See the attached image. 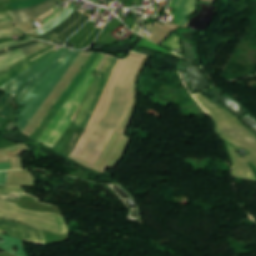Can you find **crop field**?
<instances>
[{
  "label": "crop field",
  "mask_w": 256,
  "mask_h": 256,
  "mask_svg": "<svg viewBox=\"0 0 256 256\" xmlns=\"http://www.w3.org/2000/svg\"><path fill=\"white\" fill-rule=\"evenodd\" d=\"M14 246H16L18 249V251L14 255L27 256L23 247V243L17 239L6 237L4 243L0 244V248L4 249L5 251L11 254H13L14 252L13 250Z\"/></svg>",
  "instance_id": "crop-field-12"
},
{
  "label": "crop field",
  "mask_w": 256,
  "mask_h": 256,
  "mask_svg": "<svg viewBox=\"0 0 256 256\" xmlns=\"http://www.w3.org/2000/svg\"><path fill=\"white\" fill-rule=\"evenodd\" d=\"M47 45H49V43L40 42L31 46L21 48L19 50L22 51L25 56H28ZM19 50L0 57V71L25 58L24 54Z\"/></svg>",
  "instance_id": "crop-field-9"
},
{
  "label": "crop field",
  "mask_w": 256,
  "mask_h": 256,
  "mask_svg": "<svg viewBox=\"0 0 256 256\" xmlns=\"http://www.w3.org/2000/svg\"><path fill=\"white\" fill-rule=\"evenodd\" d=\"M2 231L8 232L10 236L20 240L44 242L40 229L0 219V234L3 235Z\"/></svg>",
  "instance_id": "crop-field-7"
},
{
  "label": "crop field",
  "mask_w": 256,
  "mask_h": 256,
  "mask_svg": "<svg viewBox=\"0 0 256 256\" xmlns=\"http://www.w3.org/2000/svg\"><path fill=\"white\" fill-rule=\"evenodd\" d=\"M117 59L109 57L108 61L106 62L105 66L103 67L102 71L107 72L104 80L96 79L94 85L92 86L91 90L89 91L81 110L75 120L77 126L86 128L90 117L96 107V104L101 96V93L117 63ZM87 109L91 110L90 113H87Z\"/></svg>",
  "instance_id": "crop-field-5"
},
{
  "label": "crop field",
  "mask_w": 256,
  "mask_h": 256,
  "mask_svg": "<svg viewBox=\"0 0 256 256\" xmlns=\"http://www.w3.org/2000/svg\"><path fill=\"white\" fill-rule=\"evenodd\" d=\"M53 47H55V45L51 44L45 48H43L42 50L34 53L33 55L21 60L20 62L10 66L9 68L3 70L0 72V77L5 75L6 73L18 68L19 66L31 61L32 59L40 56L41 54L45 53L46 51L52 49ZM55 51L51 50L43 55H41L40 57L32 60L31 62L19 67L18 69L6 74L5 76L0 78V86H2L3 84H5L6 82L10 81L11 79H13L14 77L18 76L19 74H21L22 72L26 71L27 69L31 68L32 66H34L35 64L39 63L40 61H42L43 59H45L46 57L50 56L51 54H53Z\"/></svg>",
  "instance_id": "crop-field-6"
},
{
  "label": "crop field",
  "mask_w": 256,
  "mask_h": 256,
  "mask_svg": "<svg viewBox=\"0 0 256 256\" xmlns=\"http://www.w3.org/2000/svg\"><path fill=\"white\" fill-rule=\"evenodd\" d=\"M75 9L68 7L62 14H60L57 18H55L52 22L45 25L44 27L36 30V33L38 35H43L46 32H48L50 29L60 25L62 22H64L74 11Z\"/></svg>",
  "instance_id": "crop-field-11"
},
{
  "label": "crop field",
  "mask_w": 256,
  "mask_h": 256,
  "mask_svg": "<svg viewBox=\"0 0 256 256\" xmlns=\"http://www.w3.org/2000/svg\"><path fill=\"white\" fill-rule=\"evenodd\" d=\"M88 17L82 16L77 22H75L71 27H69L63 34L59 35L57 38L66 41L74 32H76L86 21Z\"/></svg>",
  "instance_id": "crop-field-13"
},
{
  "label": "crop field",
  "mask_w": 256,
  "mask_h": 256,
  "mask_svg": "<svg viewBox=\"0 0 256 256\" xmlns=\"http://www.w3.org/2000/svg\"><path fill=\"white\" fill-rule=\"evenodd\" d=\"M58 1L56 0H47L46 2L39 4L37 6L24 9V10H17L11 11L12 16H16L19 20V23H26L39 15L49 11L52 7H54Z\"/></svg>",
  "instance_id": "crop-field-8"
},
{
  "label": "crop field",
  "mask_w": 256,
  "mask_h": 256,
  "mask_svg": "<svg viewBox=\"0 0 256 256\" xmlns=\"http://www.w3.org/2000/svg\"><path fill=\"white\" fill-rule=\"evenodd\" d=\"M162 46L174 51L177 47H180V39L176 35H172L168 40H166Z\"/></svg>",
  "instance_id": "crop-field-17"
},
{
  "label": "crop field",
  "mask_w": 256,
  "mask_h": 256,
  "mask_svg": "<svg viewBox=\"0 0 256 256\" xmlns=\"http://www.w3.org/2000/svg\"><path fill=\"white\" fill-rule=\"evenodd\" d=\"M20 187L13 186H0V193H8V192H21Z\"/></svg>",
  "instance_id": "crop-field-19"
},
{
  "label": "crop field",
  "mask_w": 256,
  "mask_h": 256,
  "mask_svg": "<svg viewBox=\"0 0 256 256\" xmlns=\"http://www.w3.org/2000/svg\"><path fill=\"white\" fill-rule=\"evenodd\" d=\"M198 0H173L170 7L178 9L174 15V19L179 20V25L186 24V18L196 11V3Z\"/></svg>",
  "instance_id": "crop-field-10"
},
{
  "label": "crop field",
  "mask_w": 256,
  "mask_h": 256,
  "mask_svg": "<svg viewBox=\"0 0 256 256\" xmlns=\"http://www.w3.org/2000/svg\"><path fill=\"white\" fill-rule=\"evenodd\" d=\"M0 237L5 238V237H3V236H0Z\"/></svg>",
  "instance_id": "crop-field-26"
},
{
  "label": "crop field",
  "mask_w": 256,
  "mask_h": 256,
  "mask_svg": "<svg viewBox=\"0 0 256 256\" xmlns=\"http://www.w3.org/2000/svg\"><path fill=\"white\" fill-rule=\"evenodd\" d=\"M36 42H37V41H33V42H30V43H26V44H22V45H18V46H13V47L6 48V49L0 51V56L3 55V54H5V53L14 51V50H16V49H19V48H21V47H24V46H27V45H30V44H33V43H36Z\"/></svg>",
  "instance_id": "crop-field-20"
},
{
  "label": "crop field",
  "mask_w": 256,
  "mask_h": 256,
  "mask_svg": "<svg viewBox=\"0 0 256 256\" xmlns=\"http://www.w3.org/2000/svg\"><path fill=\"white\" fill-rule=\"evenodd\" d=\"M7 172H0V185H5Z\"/></svg>",
  "instance_id": "crop-field-23"
},
{
  "label": "crop field",
  "mask_w": 256,
  "mask_h": 256,
  "mask_svg": "<svg viewBox=\"0 0 256 256\" xmlns=\"http://www.w3.org/2000/svg\"><path fill=\"white\" fill-rule=\"evenodd\" d=\"M22 33H24V32L20 29L2 30V31H0V37L12 36V35H17V34H22Z\"/></svg>",
  "instance_id": "crop-field-18"
},
{
  "label": "crop field",
  "mask_w": 256,
  "mask_h": 256,
  "mask_svg": "<svg viewBox=\"0 0 256 256\" xmlns=\"http://www.w3.org/2000/svg\"><path fill=\"white\" fill-rule=\"evenodd\" d=\"M6 121V118L0 116V126L3 125Z\"/></svg>",
  "instance_id": "crop-field-25"
},
{
  "label": "crop field",
  "mask_w": 256,
  "mask_h": 256,
  "mask_svg": "<svg viewBox=\"0 0 256 256\" xmlns=\"http://www.w3.org/2000/svg\"><path fill=\"white\" fill-rule=\"evenodd\" d=\"M137 46H139V47H144V48H148V49H151V50H154V51H158V52H161V53H164V54H167V55H171V56L178 57V56H176V55H174V54L168 52L167 50H165V49H163V48H161V47H159V46H157V45H155V44L149 42L148 40H146V39H144V38H143V40H141V41L139 42V44H138ZM179 58H180V57H179Z\"/></svg>",
  "instance_id": "crop-field-16"
},
{
  "label": "crop field",
  "mask_w": 256,
  "mask_h": 256,
  "mask_svg": "<svg viewBox=\"0 0 256 256\" xmlns=\"http://www.w3.org/2000/svg\"><path fill=\"white\" fill-rule=\"evenodd\" d=\"M81 13L75 11L64 23H62L59 27L53 29L52 31L48 32L47 35L52 36L53 33L56 32V35L64 31L68 28L76 19H78Z\"/></svg>",
  "instance_id": "crop-field-14"
},
{
  "label": "crop field",
  "mask_w": 256,
  "mask_h": 256,
  "mask_svg": "<svg viewBox=\"0 0 256 256\" xmlns=\"http://www.w3.org/2000/svg\"><path fill=\"white\" fill-rule=\"evenodd\" d=\"M79 54V51L72 50L39 75L21 92L17 100L26 105L22 111L23 118L19 124L21 132Z\"/></svg>",
  "instance_id": "crop-field-2"
},
{
  "label": "crop field",
  "mask_w": 256,
  "mask_h": 256,
  "mask_svg": "<svg viewBox=\"0 0 256 256\" xmlns=\"http://www.w3.org/2000/svg\"><path fill=\"white\" fill-rule=\"evenodd\" d=\"M34 39H28V40H22V41H16V42H11V43H3V44H0V49H3L7 46H11V45H16V44H21V43H26V42H29V41H32Z\"/></svg>",
  "instance_id": "crop-field-22"
},
{
  "label": "crop field",
  "mask_w": 256,
  "mask_h": 256,
  "mask_svg": "<svg viewBox=\"0 0 256 256\" xmlns=\"http://www.w3.org/2000/svg\"><path fill=\"white\" fill-rule=\"evenodd\" d=\"M106 57L107 56H105V58H104V55L101 54V56L98 58V60L92 66V68L89 70V72L86 74V76L83 78V80L77 86V88L74 90V92L68 98V100L62 106V108L59 110V112L56 114V116L53 118V120L50 122V124L47 126L45 131L39 137L38 141H40L46 145H49L53 148V146L56 144V142L59 140V138L65 132V130L68 128V126L71 124L72 114L75 112V110L81 104L89 87L91 86V84L95 78L90 75L92 70L93 69L97 70L98 66L100 65L101 61L104 58V60L102 61L101 65L98 68V71H99V69L102 66L103 62L105 61Z\"/></svg>",
  "instance_id": "crop-field-3"
},
{
  "label": "crop field",
  "mask_w": 256,
  "mask_h": 256,
  "mask_svg": "<svg viewBox=\"0 0 256 256\" xmlns=\"http://www.w3.org/2000/svg\"><path fill=\"white\" fill-rule=\"evenodd\" d=\"M68 51H69L68 49L60 48L56 53L54 52L55 54L51 55L48 58L46 57L47 59L43 60L42 62L35 65L31 69L27 70L26 72L22 73L21 75L14 78L10 82L6 83L2 87H0V89L15 96L27 82H29L34 77H36L38 74H40L43 70H45L47 67H49L52 63H54L57 59H59L61 56H63ZM8 93L0 100V115L10 118L11 109L6 104L14 96H12Z\"/></svg>",
  "instance_id": "crop-field-4"
},
{
  "label": "crop field",
  "mask_w": 256,
  "mask_h": 256,
  "mask_svg": "<svg viewBox=\"0 0 256 256\" xmlns=\"http://www.w3.org/2000/svg\"><path fill=\"white\" fill-rule=\"evenodd\" d=\"M44 1H46V0H22V1H19V2L7 4L5 6L11 5L13 10H17V9L28 8V7L37 5L39 3H42Z\"/></svg>",
  "instance_id": "crop-field-15"
},
{
  "label": "crop field",
  "mask_w": 256,
  "mask_h": 256,
  "mask_svg": "<svg viewBox=\"0 0 256 256\" xmlns=\"http://www.w3.org/2000/svg\"><path fill=\"white\" fill-rule=\"evenodd\" d=\"M11 162L0 163V170L10 169Z\"/></svg>",
  "instance_id": "crop-field-24"
},
{
  "label": "crop field",
  "mask_w": 256,
  "mask_h": 256,
  "mask_svg": "<svg viewBox=\"0 0 256 256\" xmlns=\"http://www.w3.org/2000/svg\"><path fill=\"white\" fill-rule=\"evenodd\" d=\"M142 58L141 55L131 53L129 57L124 61H118L103 93L97 104V107L91 117V120L86 128V131L82 135L81 139L75 146L72 154L83 158L84 154L88 150L89 146L96 137L103 120L108 112V109L114 99V96L119 88V85L125 75V72L134 59ZM134 59L126 75L120 85V88L115 96V99L109 109V112L104 120V123L92 143L91 147L87 151L84 159L94 163L98 155L104 149L106 143L111 137L114 130H118L128 108L131 103V81L133 73L140 63V60Z\"/></svg>",
  "instance_id": "crop-field-1"
},
{
  "label": "crop field",
  "mask_w": 256,
  "mask_h": 256,
  "mask_svg": "<svg viewBox=\"0 0 256 256\" xmlns=\"http://www.w3.org/2000/svg\"><path fill=\"white\" fill-rule=\"evenodd\" d=\"M13 21L12 18L9 16V12L0 13V24L11 22Z\"/></svg>",
  "instance_id": "crop-field-21"
}]
</instances>
